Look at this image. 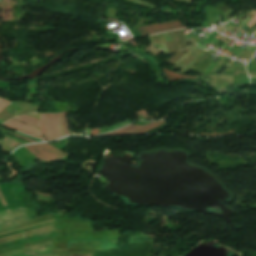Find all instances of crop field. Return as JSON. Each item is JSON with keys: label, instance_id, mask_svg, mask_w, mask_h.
<instances>
[{"label": "crop field", "instance_id": "obj_15", "mask_svg": "<svg viewBox=\"0 0 256 256\" xmlns=\"http://www.w3.org/2000/svg\"><path fill=\"white\" fill-rule=\"evenodd\" d=\"M4 125V124H3ZM6 126V125H5ZM13 129V128H12ZM14 130H16V129H14ZM16 131H19V130H16ZM19 132H22V133H25V134H28V133H26V132H23V131H19ZM28 135H31V134H28ZM33 136V135H32ZM36 137V136H35ZM37 138H39V137H37ZM41 139V138H40Z\"/></svg>", "mask_w": 256, "mask_h": 256}, {"label": "crop field", "instance_id": "obj_3", "mask_svg": "<svg viewBox=\"0 0 256 256\" xmlns=\"http://www.w3.org/2000/svg\"><path fill=\"white\" fill-rule=\"evenodd\" d=\"M178 28H186L183 26L180 22V20L167 22V23H160V24H153L148 26L139 27V31L142 36L158 33V32H164L172 29H178Z\"/></svg>", "mask_w": 256, "mask_h": 256}, {"label": "crop field", "instance_id": "obj_1", "mask_svg": "<svg viewBox=\"0 0 256 256\" xmlns=\"http://www.w3.org/2000/svg\"><path fill=\"white\" fill-rule=\"evenodd\" d=\"M40 134H44L42 140L47 141L61 137V129L58 114H42L40 122Z\"/></svg>", "mask_w": 256, "mask_h": 256}, {"label": "crop field", "instance_id": "obj_12", "mask_svg": "<svg viewBox=\"0 0 256 256\" xmlns=\"http://www.w3.org/2000/svg\"><path fill=\"white\" fill-rule=\"evenodd\" d=\"M98 134H99L98 128L91 129V135H98Z\"/></svg>", "mask_w": 256, "mask_h": 256}, {"label": "crop field", "instance_id": "obj_5", "mask_svg": "<svg viewBox=\"0 0 256 256\" xmlns=\"http://www.w3.org/2000/svg\"><path fill=\"white\" fill-rule=\"evenodd\" d=\"M163 71L165 73V77L171 81H177L179 79H183V78H194L195 77H190V76H183V75H180V74H174L170 71H168L167 69L163 68Z\"/></svg>", "mask_w": 256, "mask_h": 256}, {"label": "crop field", "instance_id": "obj_8", "mask_svg": "<svg viewBox=\"0 0 256 256\" xmlns=\"http://www.w3.org/2000/svg\"><path fill=\"white\" fill-rule=\"evenodd\" d=\"M141 126H137V125H133V124H130L122 129H119V130H116V131H133L137 128H140Z\"/></svg>", "mask_w": 256, "mask_h": 256}, {"label": "crop field", "instance_id": "obj_2", "mask_svg": "<svg viewBox=\"0 0 256 256\" xmlns=\"http://www.w3.org/2000/svg\"><path fill=\"white\" fill-rule=\"evenodd\" d=\"M24 147L29 149L40 160V162L44 160L59 159L67 155V153L52 148L50 145L46 143L29 145Z\"/></svg>", "mask_w": 256, "mask_h": 256}, {"label": "crop field", "instance_id": "obj_13", "mask_svg": "<svg viewBox=\"0 0 256 256\" xmlns=\"http://www.w3.org/2000/svg\"><path fill=\"white\" fill-rule=\"evenodd\" d=\"M129 132H111V133H108V134H128ZM103 135H106V134H103Z\"/></svg>", "mask_w": 256, "mask_h": 256}, {"label": "crop field", "instance_id": "obj_7", "mask_svg": "<svg viewBox=\"0 0 256 256\" xmlns=\"http://www.w3.org/2000/svg\"><path fill=\"white\" fill-rule=\"evenodd\" d=\"M61 115H62V121H63V127H64L65 136H66V135H70L65 112H64V113H61Z\"/></svg>", "mask_w": 256, "mask_h": 256}, {"label": "crop field", "instance_id": "obj_4", "mask_svg": "<svg viewBox=\"0 0 256 256\" xmlns=\"http://www.w3.org/2000/svg\"><path fill=\"white\" fill-rule=\"evenodd\" d=\"M4 124H6V125H8L10 127L19 129V130H23V131L29 132L31 134H34V135H37V136L40 137V134H39V131H38L37 128L31 127V126H28V125H25V124H22V123L13 121V120L7 121Z\"/></svg>", "mask_w": 256, "mask_h": 256}, {"label": "crop field", "instance_id": "obj_11", "mask_svg": "<svg viewBox=\"0 0 256 256\" xmlns=\"http://www.w3.org/2000/svg\"><path fill=\"white\" fill-rule=\"evenodd\" d=\"M162 124H164V122H162V123H160V124H157V125H154V126H152V127H149V128H147V129H145V130H143V131H140V132H138V133L146 132V131L151 130V129H153V128L159 126V125H162Z\"/></svg>", "mask_w": 256, "mask_h": 256}, {"label": "crop field", "instance_id": "obj_6", "mask_svg": "<svg viewBox=\"0 0 256 256\" xmlns=\"http://www.w3.org/2000/svg\"><path fill=\"white\" fill-rule=\"evenodd\" d=\"M14 119L21 120V121H24V122H27V123H29V124H33V125L39 127V120L34 119V118H32V117H29V116H27V115L20 116V117H15Z\"/></svg>", "mask_w": 256, "mask_h": 256}, {"label": "crop field", "instance_id": "obj_14", "mask_svg": "<svg viewBox=\"0 0 256 256\" xmlns=\"http://www.w3.org/2000/svg\"><path fill=\"white\" fill-rule=\"evenodd\" d=\"M15 136L20 137V138H22V139H25V140H27V141H29V142H35V141H33V140H30V139H27V138L21 137V136H19V135H17V134H15Z\"/></svg>", "mask_w": 256, "mask_h": 256}, {"label": "crop field", "instance_id": "obj_10", "mask_svg": "<svg viewBox=\"0 0 256 256\" xmlns=\"http://www.w3.org/2000/svg\"><path fill=\"white\" fill-rule=\"evenodd\" d=\"M161 121H163V120H161ZM161 121H158V122H155V123L148 124V125L144 126L143 128H141V129H139V130H136V131H133V132H131V133H136V132H138V131H140V130H142V129H144V128H147V127H149V126H152V125H154V124H156V123H159V122H161ZM131 133H130V134H131Z\"/></svg>", "mask_w": 256, "mask_h": 256}, {"label": "crop field", "instance_id": "obj_9", "mask_svg": "<svg viewBox=\"0 0 256 256\" xmlns=\"http://www.w3.org/2000/svg\"><path fill=\"white\" fill-rule=\"evenodd\" d=\"M11 102L7 101V100H4L2 99L0 101V111L3 110L7 105H9Z\"/></svg>", "mask_w": 256, "mask_h": 256}, {"label": "crop field", "instance_id": "obj_16", "mask_svg": "<svg viewBox=\"0 0 256 256\" xmlns=\"http://www.w3.org/2000/svg\"><path fill=\"white\" fill-rule=\"evenodd\" d=\"M0 100H1V98H0Z\"/></svg>", "mask_w": 256, "mask_h": 256}]
</instances>
